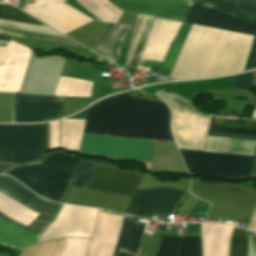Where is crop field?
I'll return each mask as SVG.
<instances>
[{"instance_id":"1d83c4d3","label":"crop field","mask_w":256,"mask_h":256,"mask_svg":"<svg viewBox=\"0 0 256 256\" xmlns=\"http://www.w3.org/2000/svg\"><path fill=\"white\" fill-rule=\"evenodd\" d=\"M11 166L9 165H0V173L4 172L5 170H7L8 168H10ZM3 174V173H2Z\"/></svg>"},{"instance_id":"e52e79f7","label":"crop field","mask_w":256,"mask_h":256,"mask_svg":"<svg viewBox=\"0 0 256 256\" xmlns=\"http://www.w3.org/2000/svg\"><path fill=\"white\" fill-rule=\"evenodd\" d=\"M98 210L63 205L37 242L65 236L60 256H85Z\"/></svg>"},{"instance_id":"dd49c442","label":"crop field","mask_w":256,"mask_h":256,"mask_svg":"<svg viewBox=\"0 0 256 256\" xmlns=\"http://www.w3.org/2000/svg\"><path fill=\"white\" fill-rule=\"evenodd\" d=\"M80 161L68 154L54 152L40 162L14 166L5 174L12 176L38 194L61 202Z\"/></svg>"},{"instance_id":"d1516ede","label":"crop field","mask_w":256,"mask_h":256,"mask_svg":"<svg viewBox=\"0 0 256 256\" xmlns=\"http://www.w3.org/2000/svg\"><path fill=\"white\" fill-rule=\"evenodd\" d=\"M97 163L82 159L71 184L88 186ZM141 176L97 166L88 187L131 197Z\"/></svg>"},{"instance_id":"28ad6ade","label":"crop field","mask_w":256,"mask_h":256,"mask_svg":"<svg viewBox=\"0 0 256 256\" xmlns=\"http://www.w3.org/2000/svg\"><path fill=\"white\" fill-rule=\"evenodd\" d=\"M215 117V116H213ZM220 118V117H217ZM226 119V118H225ZM236 120V119H233ZM255 122L251 120H241ZM210 129L256 134V123L213 118ZM209 130L208 137L256 141V135ZM207 138L204 151L253 155L256 142Z\"/></svg>"},{"instance_id":"730fd06b","label":"crop field","mask_w":256,"mask_h":256,"mask_svg":"<svg viewBox=\"0 0 256 256\" xmlns=\"http://www.w3.org/2000/svg\"><path fill=\"white\" fill-rule=\"evenodd\" d=\"M59 148V121L51 122L49 128V149Z\"/></svg>"},{"instance_id":"f4fd0767","label":"crop field","mask_w":256,"mask_h":256,"mask_svg":"<svg viewBox=\"0 0 256 256\" xmlns=\"http://www.w3.org/2000/svg\"><path fill=\"white\" fill-rule=\"evenodd\" d=\"M123 10L183 22L190 7V0H109ZM154 18L141 59L163 60L171 42L181 27V22Z\"/></svg>"},{"instance_id":"22f410ed","label":"crop field","mask_w":256,"mask_h":256,"mask_svg":"<svg viewBox=\"0 0 256 256\" xmlns=\"http://www.w3.org/2000/svg\"><path fill=\"white\" fill-rule=\"evenodd\" d=\"M63 1L36 0V4H27L24 11L64 34L92 21Z\"/></svg>"},{"instance_id":"00972430","label":"crop field","mask_w":256,"mask_h":256,"mask_svg":"<svg viewBox=\"0 0 256 256\" xmlns=\"http://www.w3.org/2000/svg\"><path fill=\"white\" fill-rule=\"evenodd\" d=\"M85 120H61V147L78 150Z\"/></svg>"},{"instance_id":"120bbe31","label":"crop field","mask_w":256,"mask_h":256,"mask_svg":"<svg viewBox=\"0 0 256 256\" xmlns=\"http://www.w3.org/2000/svg\"><path fill=\"white\" fill-rule=\"evenodd\" d=\"M0 45H2V44H0Z\"/></svg>"},{"instance_id":"8a807250","label":"crop field","mask_w":256,"mask_h":256,"mask_svg":"<svg viewBox=\"0 0 256 256\" xmlns=\"http://www.w3.org/2000/svg\"><path fill=\"white\" fill-rule=\"evenodd\" d=\"M170 113L162 102L132 98L106 99L88 110L84 132L173 141ZM83 133L79 152L150 163L154 141Z\"/></svg>"},{"instance_id":"733c2abd","label":"crop field","mask_w":256,"mask_h":256,"mask_svg":"<svg viewBox=\"0 0 256 256\" xmlns=\"http://www.w3.org/2000/svg\"><path fill=\"white\" fill-rule=\"evenodd\" d=\"M232 225H201L202 256H228Z\"/></svg>"},{"instance_id":"34b2d1b8","label":"crop field","mask_w":256,"mask_h":256,"mask_svg":"<svg viewBox=\"0 0 256 256\" xmlns=\"http://www.w3.org/2000/svg\"><path fill=\"white\" fill-rule=\"evenodd\" d=\"M0 196L33 210L54 220L61 205H53L48 201L42 200L27 190L12 182L9 178L0 175ZM0 197V211L32 228L43 232L52 221L22 206ZM0 212V216L18 224L19 226L37 234L41 232L32 229ZM0 217V244L23 251L26 247L34 244L37 235L7 221Z\"/></svg>"},{"instance_id":"eef30255","label":"crop field","mask_w":256,"mask_h":256,"mask_svg":"<svg viewBox=\"0 0 256 256\" xmlns=\"http://www.w3.org/2000/svg\"><path fill=\"white\" fill-rule=\"evenodd\" d=\"M252 71L236 75L234 88L251 89Z\"/></svg>"},{"instance_id":"a9b5d70f","label":"crop field","mask_w":256,"mask_h":256,"mask_svg":"<svg viewBox=\"0 0 256 256\" xmlns=\"http://www.w3.org/2000/svg\"><path fill=\"white\" fill-rule=\"evenodd\" d=\"M247 246L248 239L245 230L235 226L230 239L229 256H247Z\"/></svg>"},{"instance_id":"92a150f3","label":"crop field","mask_w":256,"mask_h":256,"mask_svg":"<svg viewBox=\"0 0 256 256\" xmlns=\"http://www.w3.org/2000/svg\"><path fill=\"white\" fill-rule=\"evenodd\" d=\"M146 17L147 16H145V15H140V14L137 15V19H136L135 26H134L132 36H131V40H130V46H129L128 54H127V57H126L125 64H127V65L130 62L131 56L133 54L134 48L136 46L137 40H138L139 35L141 33V30H142V27L144 25ZM153 18L154 17L148 16L147 19H146V22H145V25L143 27L142 33L140 35L139 41L137 43V46L135 48V51H134V54L132 56L131 62L129 64L131 66H135V67L137 66V63H138V60L140 58L144 43L146 41L150 26H151L152 21H153Z\"/></svg>"},{"instance_id":"4177f3b9","label":"crop field","mask_w":256,"mask_h":256,"mask_svg":"<svg viewBox=\"0 0 256 256\" xmlns=\"http://www.w3.org/2000/svg\"><path fill=\"white\" fill-rule=\"evenodd\" d=\"M0 18L6 20H12L22 23H30V24H40L44 25L35 19L29 17L18 9H12L11 5L8 4H0Z\"/></svg>"},{"instance_id":"4a817a6b","label":"crop field","mask_w":256,"mask_h":256,"mask_svg":"<svg viewBox=\"0 0 256 256\" xmlns=\"http://www.w3.org/2000/svg\"><path fill=\"white\" fill-rule=\"evenodd\" d=\"M130 26L110 24L105 33L93 44L92 50L116 63L120 45Z\"/></svg>"},{"instance_id":"d3111659","label":"crop field","mask_w":256,"mask_h":256,"mask_svg":"<svg viewBox=\"0 0 256 256\" xmlns=\"http://www.w3.org/2000/svg\"><path fill=\"white\" fill-rule=\"evenodd\" d=\"M255 67H256V36L254 37V40H253V44L250 50V54L246 63L245 70L255 68Z\"/></svg>"},{"instance_id":"412701ff","label":"crop field","mask_w":256,"mask_h":256,"mask_svg":"<svg viewBox=\"0 0 256 256\" xmlns=\"http://www.w3.org/2000/svg\"><path fill=\"white\" fill-rule=\"evenodd\" d=\"M194 5L256 23V2L252 0H196ZM194 5L185 22L256 35V24ZM191 25L183 23L163 68L172 69Z\"/></svg>"},{"instance_id":"5a996713","label":"crop field","mask_w":256,"mask_h":256,"mask_svg":"<svg viewBox=\"0 0 256 256\" xmlns=\"http://www.w3.org/2000/svg\"><path fill=\"white\" fill-rule=\"evenodd\" d=\"M47 123L0 125V162L34 161L45 149Z\"/></svg>"},{"instance_id":"3316defc","label":"crop field","mask_w":256,"mask_h":256,"mask_svg":"<svg viewBox=\"0 0 256 256\" xmlns=\"http://www.w3.org/2000/svg\"><path fill=\"white\" fill-rule=\"evenodd\" d=\"M190 174L247 177L253 156L179 151Z\"/></svg>"},{"instance_id":"750c4746","label":"crop field","mask_w":256,"mask_h":256,"mask_svg":"<svg viewBox=\"0 0 256 256\" xmlns=\"http://www.w3.org/2000/svg\"><path fill=\"white\" fill-rule=\"evenodd\" d=\"M248 229L256 232V208L254 210Z\"/></svg>"},{"instance_id":"214f88e0","label":"crop field","mask_w":256,"mask_h":256,"mask_svg":"<svg viewBox=\"0 0 256 256\" xmlns=\"http://www.w3.org/2000/svg\"><path fill=\"white\" fill-rule=\"evenodd\" d=\"M135 220L133 218H124L113 256H136L145 225L134 223Z\"/></svg>"},{"instance_id":"cbeb9de0","label":"crop field","mask_w":256,"mask_h":256,"mask_svg":"<svg viewBox=\"0 0 256 256\" xmlns=\"http://www.w3.org/2000/svg\"><path fill=\"white\" fill-rule=\"evenodd\" d=\"M183 193L164 187L137 189L125 213L148 219L152 215L168 217Z\"/></svg>"},{"instance_id":"ae1a2a85","label":"crop field","mask_w":256,"mask_h":256,"mask_svg":"<svg viewBox=\"0 0 256 256\" xmlns=\"http://www.w3.org/2000/svg\"><path fill=\"white\" fill-rule=\"evenodd\" d=\"M0 33L1 34H7V35H10V36H24V37H28V35H26V34H20V33H14V32L2 31V30H0ZM29 37L51 40V41H55V42H59V43L68 44V45H71V46H74V47H77V48L85 49V48L81 47L80 45H78L76 43H72V42L60 41V40L43 38V37L32 36V35H29Z\"/></svg>"},{"instance_id":"dafd665d","label":"crop field","mask_w":256,"mask_h":256,"mask_svg":"<svg viewBox=\"0 0 256 256\" xmlns=\"http://www.w3.org/2000/svg\"><path fill=\"white\" fill-rule=\"evenodd\" d=\"M87 11L103 22L117 23L122 12L107 0H77Z\"/></svg>"},{"instance_id":"5142ce71","label":"crop field","mask_w":256,"mask_h":256,"mask_svg":"<svg viewBox=\"0 0 256 256\" xmlns=\"http://www.w3.org/2000/svg\"><path fill=\"white\" fill-rule=\"evenodd\" d=\"M64 97L15 94L14 122H36L59 117Z\"/></svg>"},{"instance_id":"bd1437ed","label":"crop field","mask_w":256,"mask_h":256,"mask_svg":"<svg viewBox=\"0 0 256 256\" xmlns=\"http://www.w3.org/2000/svg\"><path fill=\"white\" fill-rule=\"evenodd\" d=\"M250 175L256 176V152H255V155H254V158H253Z\"/></svg>"},{"instance_id":"d9b57169","label":"crop field","mask_w":256,"mask_h":256,"mask_svg":"<svg viewBox=\"0 0 256 256\" xmlns=\"http://www.w3.org/2000/svg\"><path fill=\"white\" fill-rule=\"evenodd\" d=\"M124 216L100 210L86 256H112Z\"/></svg>"},{"instance_id":"ac0d7876","label":"crop field","mask_w":256,"mask_h":256,"mask_svg":"<svg viewBox=\"0 0 256 256\" xmlns=\"http://www.w3.org/2000/svg\"><path fill=\"white\" fill-rule=\"evenodd\" d=\"M253 37L192 25L170 77L204 78L241 72Z\"/></svg>"},{"instance_id":"d8731c3e","label":"crop field","mask_w":256,"mask_h":256,"mask_svg":"<svg viewBox=\"0 0 256 256\" xmlns=\"http://www.w3.org/2000/svg\"><path fill=\"white\" fill-rule=\"evenodd\" d=\"M158 97L172 110L171 129L178 148L203 151L211 117L178 97Z\"/></svg>"},{"instance_id":"bc2a9ffb","label":"crop field","mask_w":256,"mask_h":256,"mask_svg":"<svg viewBox=\"0 0 256 256\" xmlns=\"http://www.w3.org/2000/svg\"><path fill=\"white\" fill-rule=\"evenodd\" d=\"M156 256H201L200 237L162 236Z\"/></svg>"}]
</instances>
